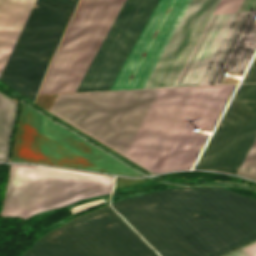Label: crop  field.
Returning <instances> with one entry per match:
<instances>
[{
	"mask_svg": "<svg viewBox=\"0 0 256 256\" xmlns=\"http://www.w3.org/2000/svg\"><path fill=\"white\" fill-rule=\"evenodd\" d=\"M158 0H126L77 92L112 90ZM190 0H159L113 90L145 88ZM219 0H191L146 88L173 86Z\"/></svg>",
	"mask_w": 256,
	"mask_h": 256,
	"instance_id": "8a807250",
	"label": "crop field"
},
{
	"mask_svg": "<svg viewBox=\"0 0 256 256\" xmlns=\"http://www.w3.org/2000/svg\"><path fill=\"white\" fill-rule=\"evenodd\" d=\"M161 256H220L256 239V199L173 188L112 203Z\"/></svg>",
	"mask_w": 256,
	"mask_h": 256,
	"instance_id": "ac0d7876",
	"label": "crop field"
},
{
	"mask_svg": "<svg viewBox=\"0 0 256 256\" xmlns=\"http://www.w3.org/2000/svg\"><path fill=\"white\" fill-rule=\"evenodd\" d=\"M79 0H0V79L35 101L45 70Z\"/></svg>",
	"mask_w": 256,
	"mask_h": 256,
	"instance_id": "34b2d1b8",
	"label": "crop field"
},
{
	"mask_svg": "<svg viewBox=\"0 0 256 256\" xmlns=\"http://www.w3.org/2000/svg\"><path fill=\"white\" fill-rule=\"evenodd\" d=\"M160 91L40 95L36 103L125 157Z\"/></svg>",
	"mask_w": 256,
	"mask_h": 256,
	"instance_id": "412701ff",
	"label": "crop field"
},
{
	"mask_svg": "<svg viewBox=\"0 0 256 256\" xmlns=\"http://www.w3.org/2000/svg\"><path fill=\"white\" fill-rule=\"evenodd\" d=\"M113 177L64 169L11 164L1 216L27 219L112 190Z\"/></svg>",
	"mask_w": 256,
	"mask_h": 256,
	"instance_id": "f4fd0767",
	"label": "crop field"
},
{
	"mask_svg": "<svg viewBox=\"0 0 256 256\" xmlns=\"http://www.w3.org/2000/svg\"><path fill=\"white\" fill-rule=\"evenodd\" d=\"M12 161L142 176L22 103Z\"/></svg>",
	"mask_w": 256,
	"mask_h": 256,
	"instance_id": "dd49c442",
	"label": "crop field"
},
{
	"mask_svg": "<svg viewBox=\"0 0 256 256\" xmlns=\"http://www.w3.org/2000/svg\"><path fill=\"white\" fill-rule=\"evenodd\" d=\"M23 256H158L110 207L51 231Z\"/></svg>",
	"mask_w": 256,
	"mask_h": 256,
	"instance_id": "e52e79f7",
	"label": "crop field"
},
{
	"mask_svg": "<svg viewBox=\"0 0 256 256\" xmlns=\"http://www.w3.org/2000/svg\"><path fill=\"white\" fill-rule=\"evenodd\" d=\"M125 0H81L39 94L76 92Z\"/></svg>",
	"mask_w": 256,
	"mask_h": 256,
	"instance_id": "d8731c3e",
	"label": "crop field"
},
{
	"mask_svg": "<svg viewBox=\"0 0 256 256\" xmlns=\"http://www.w3.org/2000/svg\"><path fill=\"white\" fill-rule=\"evenodd\" d=\"M234 85L196 87L152 172L191 169L207 136L194 133L211 131ZM151 172V171H150Z\"/></svg>",
	"mask_w": 256,
	"mask_h": 256,
	"instance_id": "5a996713",
	"label": "crop field"
},
{
	"mask_svg": "<svg viewBox=\"0 0 256 256\" xmlns=\"http://www.w3.org/2000/svg\"><path fill=\"white\" fill-rule=\"evenodd\" d=\"M256 113V84L240 85L194 169L224 172Z\"/></svg>",
	"mask_w": 256,
	"mask_h": 256,
	"instance_id": "3316defc",
	"label": "crop field"
},
{
	"mask_svg": "<svg viewBox=\"0 0 256 256\" xmlns=\"http://www.w3.org/2000/svg\"><path fill=\"white\" fill-rule=\"evenodd\" d=\"M250 13H237L198 85L220 84L215 79L225 70L243 75L256 50V22L246 20Z\"/></svg>",
	"mask_w": 256,
	"mask_h": 256,
	"instance_id": "28ad6ade",
	"label": "crop field"
},
{
	"mask_svg": "<svg viewBox=\"0 0 256 256\" xmlns=\"http://www.w3.org/2000/svg\"><path fill=\"white\" fill-rule=\"evenodd\" d=\"M194 89H162L133 145L160 155Z\"/></svg>",
	"mask_w": 256,
	"mask_h": 256,
	"instance_id": "d1516ede",
	"label": "crop field"
},
{
	"mask_svg": "<svg viewBox=\"0 0 256 256\" xmlns=\"http://www.w3.org/2000/svg\"><path fill=\"white\" fill-rule=\"evenodd\" d=\"M242 1L221 0L213 14L237 12ZM234 15H212L174 86L197 85Z\"/></svg>",
	"mask_w": 256,
	"mask_h": 256,
	"instance_id": "22f410ed",
	"label": "crop field"
},
{
	"mask_svg": "<svg viewBox=\"0 0 256 256\" xmlns=\"http://www.w3.org/2000/svg\"><path fill=\"white\" fill-rule=\"evenodd\" d=\"M17 105L0 93V161H7Z\"/></svg>",
	"mask_w": 256,
	"mask_h": 256,
	"instance_id": "cbeb9de0",
	"label": "crop field"
},
{
	"mask_svg": "<svg viewBox=\"0 0 256 256\" xmlns=\"http://www.w3.org/2000/svg\"><path fill=\"white\" fill-rule=\"evenodd\" d=\"M255 138H256V115L254 116L249 128L247 129L243 139L241 140L225 172L236 174L239 166L241 165L243 159L245 158Z\"/></svg>",
	"mask_w": 256,
	"mask_h": 256,
	"instance_id": "5142ce71",
	"label": "crop field"
},
{
	"mask_svg": "<svg viewBox=\"0 0 256 256\" xmlns=\"http://www.w3.org/2000/svg\"><path fill=\"white\" fill-rule=\"evenodd\" d=\"M256 173V140L237 174L253 179Z\"/></svg>",
	"mask_w": 256,
	"mask_h": 256,
	"instance_id": "d9b57169",
	"label": "crop field"
},
{
	"mask_svg": "<svg viewBox=\"0 0 256 256\" xmlns=\"http://www.w3.org/2000/svg\"><path fill=\"white\" fill-rule=\"evenodd\" d=\"M239 250H241L243 253H245L248 256H256V242L253 244H250L242 249H239ZM239 250H237L231 254H228L226 256H246Z\"/></svg>",
	"mask_w": 256,
	"mask_h": 256,
	"instance_id": "733c2abd",
	"label": "crop field"
},
{
	"mask_svg": "<svg viewBox=\"0 0 256 256\" xmlns=\"http://www.w3.org/2000/svg\"><path fill=\"white\" fill-rule=\"evenodd\" d=\"M256 82V56L241 83Z\"/></svg>",
	"mask_w": 256,
	"mask_h": 256,
	"instance_id": "4a817a6b",
	"label": "crop field"
},
{
	"mask_svg": "<svg viewBox=\"0 0 256 256\" xmlns=\"http://www.w3.org/2000/svg\"><path fill=\"white\" fill-rule=\"evenodd\" d=\"M102 203H105V200H104V199H101V200H97V201H93V202H89V203H86V204H83V205L76 206V207L72 208L71 211L73 212V214H75V213L84 211V210H86V209H89V208H91V207L100 205V204H102Z\"/></svg>",
	"mask_w": 256,
	"mask_h": 256,
	"instance_id": "bc2a9ffb",
	"label": "crop field"
},
{
	"mask_svg": "<svg viewBox=\"0 0 256 256\" xmlns=\"http://www.w3.org/2000/svg\"><path fill=\"white\" fill-rule=\"evenodd\" d=\"M256 0H244L239 12L255 11Z\"/></svg>",
	"mask_w": 256,
	"mask_h": 256,
	"instance_id": "214f88e0",
	"label": "crop field"
},
{
	"mask_svg": "<svg viewBox=\"0 0 256 256\" xmlns=\"http://www.w3.org/2000/svg\"><path fill=\"white\" fill-rule=\"evenodd\" d=\"M253 180H256V175H255V177H254V179Z\"/></svg>",
	"mask_w": 256,
	"mask_h": 256,
	"instance_id": "92a150f3",
	"label": "crop field"
}]
</instances>
